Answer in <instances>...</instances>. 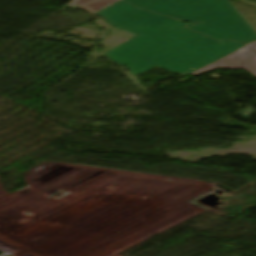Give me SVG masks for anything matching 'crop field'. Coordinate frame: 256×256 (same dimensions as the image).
Returning a JSON list of instances; mask_svg holds the SVG:
<instances>
[{
  "mask_svg": "<svg viewBox=\"0 0 256 256\" xmlns=\"http://www.w3.org/2000/svg\"><path fill=\"white\" fill-rule=\"evenodd\" d=\"M95 14L139 35L105 54L134 76L155 66L185 76L244 45L217 42L183 27L187 24L139 10L122 0Z\"/></svg>",
  "mask_w": 256,
  "mask_h": 256,
  "instance_id": "crop-field-1",
  "label": "crop field"
},
{
  "mask_svg": "<svg viewBox=\"0 0 256 256\" xmlns=\"http://www.w3.org/2000/svg\"><path fill=\"white\" fill-rule=\"evenodd\" d=\"M218 41L251 42L256 32L228 0H217L193 24L186 26Z\"/></svg>",
  "mask_w": 256,
  "mask_h": 256,
  "instance_id": "crop-field-2",
  "label": "crop field"
},
{
  "mask_svg": "<svg viewBox=\"0 0 256 256\" xmlns=\"http://www.w3.org/2000/svg\"><path fill=\"white\" fill-rule=\"evenodd\" d=\"M149 11L194 22L216 0H126Z\"/></svg>",
  "mask_w": 256,
  "mask_h": 256,
  "instance_id": "crop-field-3",
  "label": "crop field"
},
{
  "mask_svg": "<svg viewBox=\"0 0 256 256\" xmlns=\"http://www.w3.org/2000/svg\"><path fill=\"white\" fill-rule=\"evenodd\" d=\"M215 68L245 69L256 76V42L252 43L192 74L198 76Z\"/></svg>",
  "mask_w": 256,
  "mask_h": 256,
  "instance_id": "crop-field-4",
  "label": "crop field"
},
{
  "mask_svg": "<svg viewBox=\"0 0 256 256\" xmlns=\"http://www.w3.org/2000/svg\"><path fill=\"white\" fill-rule=\"evenodd\" d=\"M117 1L119 0H74L72 2L95 13Z\"/></svg>",
  "mask_w": 256,
  "mask_h": 256,
  "instance_id": "crop-field-5",
  "label": "crop field"
}]
</instances>
